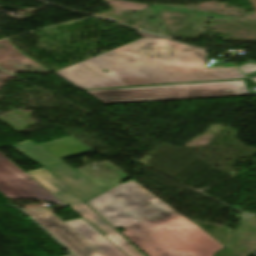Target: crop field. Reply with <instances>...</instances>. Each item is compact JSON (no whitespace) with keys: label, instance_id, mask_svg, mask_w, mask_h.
I'll return each instance as SVG.
<instances>
[{"label":"crop field","instance_id":"dd49c442","mask_svg":"<svg viewBox=\"0 0 256 256\" xmlns=\"http://www.w3.org/2000/svg\"><path fill=\"white\" fill-rule=\"evenodd\" d=\"M32 182L36 181L0 153V192L4 196L7 198L43 199L62 205L40 186L30 184Z\"/></svg>","mask_w":256,"mask_h":256},{"label":"crop field","instance_id":"412701ff","mask_svg":"<svg viewBox=\"0 0 256 256\" xmlns=\"http://www.w3.org/2000/svg\"><path fill=\"white\" fill-rule=\"evenodd\" d=\"M256 82V75L250 77ZM104 104L252 95L246 80L83 91Z\"/></svg>","mask_w":256,"mask_h":256},{"label":"crop field","instance_id":"8a807250","mask_svg":"<svg viewBox=\"0 0 256 256\" xmlns=\"http://www.w3.org/2000/svg\"><path fill=\"white\" fill-rule=\"evenodd\" d=\"M149 50L144 51L142 48ZM203 49L144 38L57 71L79 89L243 78L226 65L206 68Z\"/></svg>","mask_w":256,"mask_h":256},{"label":"crop field","instance_id":"3316defc","mask_svg":"<svg viewBox=\"0 0 256 256\" xmlns=\"http://www.w3.org/2000/svg\"><path fill=\"white\" fill-rule=\"evenodd\" d=\"M238 67L247 76L256 73V64H254V63L247 62V63L241 64V65H238Z\"/></svg>","mask_w":256,"mask_h":256},{"label":"crop field","instance_id":"f4fd0767","mask_svg":"<svg viewBox=\"0 0 256 256\" xmlns=\"http://www.w3.org/2000/svg\"><path fill=\"white\" fill-rule=\"evenodd\" d=\"M155 228L161 232L155 236L174 252L187 251L192 256H212L224 247L183 217Z\"/></svg>","mask_w":256,"mask_h":256},{"label":"crop field","instance_id":"5a996713","mask_svg":"<svg viewBox=\"0 0 256 256\" xmlns=\"http://www.w3.org/2000/svg\"><path fill=\"white\" fill-rule=\"evenodd\" d=\"M39 146L49 151L59 159L90 151L85 148L86 146L84 147L72 137L56 140Z\"/></svg>","mask_w":256,"mask_h":256},{"label":"crop field","instance_id":"e52e79f7","mask_svg":"<svg viewBox=\"0 0 256 256\" xmlns=\"http://www.w3.org/2000/svg\"><path fill=\"white\" fill-rule=\"evenodd\" d=\"M77 256H103L47 209L25 210Z\"/></svg>","mask_w":256,"mask_h":256},{"label":"crop field","instance_id":"28ad6ade","mask_svg":"<svg viewBox=\"0 0 256 256\" xmlns=\"http://www.w3.org/2000/svg\"><path fill=\"white\" fill-rule=\"evenodd\" d=\"M69 256H73V255H69Z\"/></svg>","mask_w":256,"mask_h":256},{"label":"crop field","instance_id":"d8731c3e","mask_svg":"<svg viewBox=\"0 0 256 256\" xmlns=\"http://www.w3.org/2000/svg\"><path fill=\"white\" fill-rule=\"evenodd\" d=\"M64 223H66L104 256H127L83 219L66 221Z\"/></svg>","mask_w":256,"mask_h":256},{"label":"crop field","instance_id":"ac0d7876","mask_svg":"<svg viewBox=\"0 0 256 256\" xmlns=\"http://www.w3.org/2000/svg\"><path fill=\"white\" fill-rule=\"evenodd\" d=\"M147 256H191L174 253L153 234L165 221L181 217L176 211L131 181L117 186L87 203Z\"/></svg>","mask_w":256,"mask_h":256},{"label":"crop field","instance_id":"34b2d1b8","mask_svg":"<svg viewBox=\"0 0 256 256\" xmlns=\"http://www.w3.org/2000/svg\"><path fill=\"white\" fill-rule=\"evenodd\" d=\"M21 152L43 167L27 172L41 186L86 220L125 254L128 256H142L104 220L83 204L84 201L104 191V189L70 166L60 162L61 160L59 161L58 158L39 146L21 150Z\"/></svg>","mask_w":256,"mask_h":256}]
</instances>
